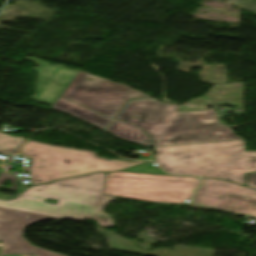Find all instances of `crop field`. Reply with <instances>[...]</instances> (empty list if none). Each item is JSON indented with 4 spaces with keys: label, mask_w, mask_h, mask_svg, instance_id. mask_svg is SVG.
<instances>
[{
    "label": "crop field",
    "mask_w": 256,
    "mask_h": 256,
    "mask_svg": "<svg viewBox=\"0 0 256 256\" xmlns=\"http://www.w3.org/2000/svg\"><path fill=\"white\" fill-rule=\"evenodd\" d=\"M191 204L256 217V190L223 180L203 178Z\"/></svg>",
    "instance_id": "e52e79f7"
},
{
    "label": "crop field",
    "mask_w": 256,
    "mask_h": 256,
    "mask_svg": "<svg viewBox=\"0 0 256 256\" xmlns=\"http://www.w3.org/2000/svg\"><path fill=\"white\" fill-rule=\"evenodd\" d=\"M86 77L94 80H85ZM125 85L78 72L61 97L113 118L131 98H151Z\"/></svg>",
    "instance_id": "dd49c442"
},
{
    "label": "crop field",
    "mask_w": 256,
    "mask_h": 256,
    "mask_svg": "<svg viewBox=\"0 0 256 256\" xmlns=\"http://www.w3.org/2000/svg\"><path fill=\"white\" fill-rule=\"evenodd\" d=\"M178 108L158 100H136L126 106L118 119L146 131L154 147L242 139L219 124L215 110L178 113Z\"/></svg>",
    "instance_id": "8a807250"
},
{
    "label": "crop field",
    "mask_w": 256,
    "mask_h": 256,
    "mask_svg": "<svg viewBox=\"0 0 256 256\" xmlns=\"http://www.w3.org/2000/svg\"><path fill=\"white\" fill-rule=\"evenodd\" d=\"M246 187L256 189V173L247 174L246 177Z\"/></svg>",
    "instance_id": "5142ce71"
},
{
    "label": "crop field",
    "mask_w": 256,
    "mask_h": 256,
    "mask_svg": "<svg viewBox=\"0 0 256 256\" xmlns=\"http://www.w3.org/2000/svg\"><path fill=\"white\" fill-rule=\"evenodd\" d=\"M45 219L56 221L62 220L61 218L0 208V242L3 243L1 254L12 253L16 255L33 254L35 256H63L36 248L23 238V233L26 227Z\"/></svg>",
    "instance_id": "d8731c3e"
},
{
    "label": "crop field",
    "mask_w": 256,
    "mask_h": 256,
    "mask_svg": "<svg viewBox=\"0 0 256 256\" xmlns=\"http://www.w3.org/2000/svg\"><path fill=\"white\" fill-rule=\"evenodd\" d=\"M156 161L170 174L218 178L245 186L246 173L256 172V151L243 140L154 148Z\"/></svg>",
    "instance_id": "34b2d1b8"
},
{
    "label": "crop field",
    "mask_w": 256,
    "mask_h": 256,
    "mask_svg": "<svg viewBox=\"0 0 256 256\" xmlns=\"http://www.w3.org/2000/svg\"><path fill=\"white\" fill-rule=\"evenodd\" d=\"M106 173H95L74 179L58 181L29 188L16 200H0V207L82 221H98L103 227H115L104 206L114 197L102 195ZM55 199V205L43 203ZM102 215V217H99Z\"/></svg>",
    "instance_id": "ac0d7876"
},
{
    "label": "crop field",
    "mask_w": 256,
    "mask_h": 256,
    "mask_svg": "<svg viewBox=\"0 0 256 256\" xmlns=\"http://www.w3.org/2000/svg\"><path fill=\"white\" fill-rule=\"evenodd\" d=\"M51 108L66 112L73 116H76L80 119L88 121L94 125H96L100 129H104L109 122L112 120L110 118H106L96 112H93L85 107L77 105L73 102L65 100L59 97L56 102L51 106Z\"/></svg>",
    "instance_id": "3316defc"
},
{
    "label": "crop field",
    "mask_w": 256,
    "mask_h": 256,
    "mask_svg": "<svg viewBox=\"0 0 256 256\" xmlns=\"http://www.w3.org/2000/svg\"><path fill=\"white\" fill-rule=\"evenodd\" d=\"M23 141L24 139L0 133V153L7 156L13 154Z\"/></svg>",
    "instance_id": "d1516ede"
},
{
    "label": "crop field",
    "mask_w": 256,
    "mask_h": 256,
    "mask_svg": "<svg viewBox=\"0 0 256 256\" xmlns=\"http://www.w3.org/2000/svg\"><path fill=\"white\" fill-rule=\"evenodd\" d=\"M114 133L117 137L124 138L145 146H151L149 137H147L140 129L131 126L125 122L115 120L107 129ZM126 135V137H123Z\"/></svg>",
    "instance_id": "28ad6ade"
},
{
    "label": "crop field",
    "mask_w": 256,
    "mask_h": 256,
    "mask_svg": "<svg viewBox=\"0 0 256 256\" xmlns=\"http://www.w3.org/2000/svg\"><path fill=\"white\" fill-rule=\"evenodd\" d=\"M7 179L11 182L12 184L11 187L10 188L1 187ZM0 188L19 192L22 189V186L17 177V173L16 172L10 173V172L3 171L2 174L0 175ZM10 198H14V196L0 193V199L8 200Z\"/></svg>",
    "instance_id": "22f410ed"
},
{
    "label": "crop field",
    "mask_w": 256,
    "mask_h": 256,
    "mask_svg": "<svg viewBox=\"0 0 256 256\" xmlns=\"http://www.w3.org/2000/svg\"><path fill=\"white\" fill-rule=\"evenodd\" d=\"M26 58L39 65L34 67V71L38 73L37 92L31 100L51 106L78 71L52 66L37 58Z\"/></svg>",
    "instance_id": "5a996713"
},
{
    "label": "crop field",
    "mask_w": 256,
    "mask_h": 256,
    "mask_svg": "<svg viewBox=\"0 0 256 256\" xmlns=\"http://www.w3.org/2000/svg\"><path fill=\"white\" fill-rule=\"evenodd\" d=\"M19 155L31 158V183L39 184L53 180L90 174L96 171H116L148 161H107L95 157L94 152L50 146L28 141L23 144ZM37 176V178H35Z\"/></svg>",
    "instance_id": "412701ff"
},
{
    "label": "crop field",
    "mask_w": 256,
    "mask_h": 256,
    "mask_svg": "<svg viewBox=\"0 0 256 256\" xmlns=\"http://www.w3.org/2000/svg\"><path fill=\"white\" fill-rule=\"evenodd\" d=\"M151 164H153V162L146 164V165H142V166H138V167H134V168H130V169H126L123 171L126 172H140V173H153V174H164L167 175L166 173L162 172L160 168L158 167H153Z\"/></svg>",
    "instance_id": "cbeb9de0"
},
{
    "label": "crop field",
    "mask_w": 256,
    "mask_h": 256,
    "mask_svg": "<svg viewBox=\"0 0 256 256\" xmlns=\"http://www.w3.org/2000/svg\"><path fill=\"white\" fill-rule=\"evenodd\" d=\"M199 178L153 174L107 173L103 195L138 201L184 204Z\"/></svg>",
    "instance_id": "f4fd0767"
}]
</instances>
